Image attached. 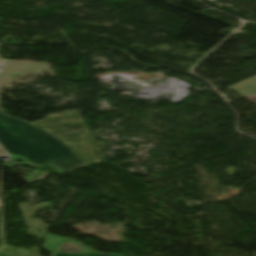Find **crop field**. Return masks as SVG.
<instances>
[{
  "label": "crop field",
  "mask_w": 256,
  "mask_h": 256,
  "mask_svg": "<svg viewBox=\"0 0 256 256\" xmlns=\"http://www.w3.org/2000/svg\"><path fill=\"white\" fill-rule=\"evenodd\" d=\"M247 99H249L252 103H254L256 105V95L248 97Z\"/></svg>",
  "instance_id": "obj_4"
},
{
  "label": "crop field",
  "mask_w": 256,
  "mask_h": 256,
  "mask_svg": "<svg viewBox=\"0 0 256 256\" xmlns=\"http://www.w3.org/2000/svg\"><path fill=\"white\" fill-rule=\"evenodd\" d=\"M6 61L0 59V76ZM0 143L9 153L21 155L39 167L47 163L61 173L89 166L57 137L30 123L5 115L1 108ZM1 148L0 153L4 152Z\"/></svg>",
  "instance_id": "obj_1"
},
{
  "label": "crop field",
  "mask_w": 256,
  "mask_h": 256,
  "mask_svg": "<svg viewBox=\"0 0 256 256\" xmlns=\"http://www.w3.org/2000/svg\"><path fill=\"white\" fill-rule=\"evenodd\" d=\"M64 242H70L74 244L81 245L75 241L46 235L43 247L51 253V256H123V255H113V254H100L88 247H85L83 245L81 249V254H70V253H58L59 246L62 245Z\"/></svg>",
  "instance_id": "obj_2"
},
{
  "label": "crop field",
  "mask_w": 256,
  "mask_h": 256,
  "mask_svg": "<svg viewBox=\"0 0 256 256\" xmlns=\"http://www.w3.org/2000/svg\"><path fill=\"white\" fill-rule=\"evenodd\" d=\"M237 93L247 97L256 94V76L229 87Z\"/></svg>",
  "instance_id": "obj_3"
}]
</instances>
